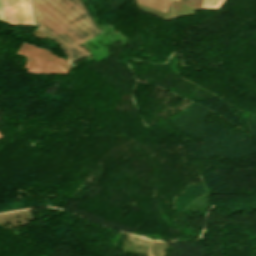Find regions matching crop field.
<instances>
[{"mask_svg":"<svg viewBox=\"0 0 256 256\" xmlns=\"http://www.w3.org/2000/svg\"><path fill=\"white\" fill-rule=\"evenodd\" d=\"M137 3L146 5L161 12H165L170 0H135Z\"/></svg>","mask_w":256,"mask_h":256,"instance_id":"crop-field-4","label":"crop field"},{"mask_svg":"<svg viewBox=\"0 0 256 256\" xmlns=\"http://www.w3.org/2000/svg\"><path fill=\"white\" fill-rule=\"evenodd\" d=\"M225 0H203L201 8L219 9Z\"/></svg>","mask_w":256,"mask_h":256,"instance_id":"crop-field-5","label":"crop field"},{"mask_svg":"<svg viewBox=\"0 0 256 256\" xmlns=\"http://www.w3.org/2000/svg\"><path fill=\"white\" fill-rule=\"evenodd\" d=\"M36 25L56 39L70 63L89 53L80 44L103 33L80 0H31Z\"/></svg>","mask_w":256,"mask_h":256,"instance_id":"crop-field-1","label":"crop field"},{"mask_svg":"<svg viewBox=\"0 0 256 256\" xmlns=\"http://www.w3.org/2000/svg\"><path fill=\"white\" fill-rule=\"evenodd\" d=\"M178 1V0H177Z\"/></svg>","mask_w":256,"mask_h":256,"instance_id":"crop-field-8","label":"crop field"},{"mask_svg":"<svg viewBox=\"0 0 256 256\" xmlns=\"http://www.w3.org/2000/svg\"><path fill=\"white\" fill-rule=\"evenodd\" d=\"M2 4L7 23L33 24L29 0H2Z\"/></svg>","mask_w":256,"mask_h":256,"instance_id":"crop-field-3","label":"crop field"},{"mask_svg":"<svg viewBox=\"0 0 256 256\" xmlns=\"http://www.w3.org/2000/svg\"><path fill=\"white\" fill-rule=\"evenodd\" d=\"M18 53L28 58L25 65L28 73L50 75L51 73H68L70 71L68 61L34 45L22 43Z\"/></svg>","mask_w":256,"mask_h":256,"instance_id":"crop-field-2","label":"crop field"},{"mask_svg":"<svg viewBox=\"0 0 256 256\" xmlns=\"http://www.w3.org/2000/svg\"><path fill=\"white\" fill-rule=\"evenodd\" d=\"M0 20L5 22L1 0H0Z\"/></svg>","mask_w":256,"mask_h":256,"instance_id":"crop-field-6","label":"crop field"},{"mask_svg":"<svg viewBox=\"0 0 256 256\" xmlns=\"http://www.w3.org/2000/svg\"><path fill=\"white\" fill-rule=\"evenodd\" d=\"M0 137H2L1 134H0Z\"/></svg>","mask_w":256,"mask_h":256,"instance_id":"crop-field-7","label":"crop field"}]
</instances>
